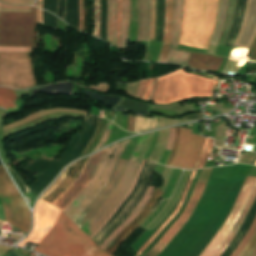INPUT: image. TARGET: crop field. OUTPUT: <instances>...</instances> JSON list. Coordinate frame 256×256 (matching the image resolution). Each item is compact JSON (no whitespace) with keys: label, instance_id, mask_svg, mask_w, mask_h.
Returning a JSON list of instances; mask_svg holds the SVG:
<instances>
[{"label":"crop field","instance_id":"crop-field-46","mask_svg":"<svg viewBox=\"0 0 256 256\" xmlns=\"http://www.w3.org/2000/svg\"><path fill=\"white\" fill-rule=\"evenodd\" d=\"M36 21L42 24V10L36 8Z\"/></svg>","mask_w":256,"mask_h":256},{"label":"crop field","instance_id":"crop-field-6","mask_svg":"<svg viewBox=\"0 0 256 256\" xmlns=\"http://www.w3.org/2000/svg\"><path fill=\"white\" fill-rule=\"evenodd\" d=\"M35 8L31 13L0 12V46L37 48L34 30Z\"/></svg>","mask_w":256,"mask_h":256},{"label":"crop field","instance_id":"crop-field-23","mask_svg":"<svg viewBox=\"0 0 256 256\" xmlns=\"http://www.w3.org/2000/svg\"><path fill=\"white\" fill-rule=\"evenodd\" d=\"M190 53L175 51V48L170 46L165 62L174 63L185 66Z\"/></svg>","mask_w":256,"mask_h":256},{"label":"crop field","instance_id":"crop-field-49","mask_svg":"<svg viewBox=\"0 0 256 256\" xmlns=\"http://www.w3.org/2000/svg\"><path fill=\"white\" fill-rule=\"evenodd\" d=\"M156 80H157V78H154L152 93H151V97H150L151 100L153 99V96H154L155 86H156Z\"/></svg>","mask_w":256,"mask_h":256},{"label":"crop field","instance_id":"crop-field-22","mask_svg":"<svg viewBox=\"0 0 256 256\" xmlns=\"http://www.w3.org/2000/svg\"><path fill=\"white\" fill-rule=\"evenodd\" d=\"M181 1L182 0H175V3H174L173 32H172L171 45H173L175 47L177 46L179 30H180Z\"/></svg>","mask_w":256,"mask_h":256},{"label":"crop field","instance_id":"crop-field-24","mask_svg":"<svg viewBox=\"0 0 256 256\" xmlns=\"http://www.w3.org/2000/svg\"><path fill=\"white\" fill-rule=\"evenodd\" d=\"M145 163V160L142 161V164L140 166V168L138 169L136 175H135V178L130 186V188L128 189V191L125 193V195L122 197V199L119 201V203L116 205V207L113 209V211L110 213V215L101 223V225L89 236L90 238H92L105 224L106 222L113 216V214L115 213V211L118 209V207L121 205V203L125 200V198L130 194V192L132 191L139 175H140V172H141V169L143 167ZM134 190V189H133ZM132 193V192H131ZM127 199V198H126Z\"/></svg>","mask_w":256,"mask_h":256},{"label":"crop field","instance_id":"crop-field-5","mask_svg":"<svg viewBox=\"0 0 256 256\" xmlns=\"http://www.w3.org/2000/svg\"><path fill=\"white\" fill-rule=\"evenodd\" d=\"M128 142L129 140L120 144L116 143L109 147L91 183L63 212L73 222L76 221L81 213L106 186L115 163ZM103 181H106V183H104L103 186H100Z\"/></svg>","mask_w":256,"mask_h":256},{"label":"crop field","instance_id":"crop-field-26","mask_svg":"<svg viewBox=\"0 0 256 256\" xmlns=\"http://www.w3.org/2000/svg\"><path fill=\"white\" fill-rule=\"evenodd\" d=\"M15 99L13 90L0 88V106L16 108L13 103Z\"/></svg>","mask_w":256,"mask_h":256},{"label":"crop field","instance_id":"crop-field-21","mask_svg":"<svg viewBox=\"0 0 256 256\" xmlns=\"http://www.w3.org/2000/svg\"><path fill=\"white\" fill-rule=\"evenodd\" d=\"M122 2L121 47L127 50V25L129 21V0Z\"/></svg>","mask_w":256,"mask_h":256},{"label":"crop field","instance_id":"crop-field-40","mask_svg":"<svg viewBox=\"0 0 256 256\" xmlns=\"http://www.w3.org/2000/svg\"><path fill=\"white\" fill-rule=\"evenodd\" d=\"M168 48H169L168 45H164L163 44L162 50H161V54L159 56V60L158 61H161V62L165 61V58H166V55H167V52H168Z\"/></svg>","mask_w":256,"mask_h":256},{"label":"crop field","instance_id":"crop-field-25","mask_svg":"<svg viewBox=\"0 0 256 256\" xmlns=\"http://www.w3.org/2000/svg\"><path fill=\"white\" fill-rule=\"evenodd\" d=\"M255 231H256V217L252 225L250 226V228L248 229V231L246 232V234L244 235V237L242 238V240L240 241V243L238 244V246L235 248V250L232 252L230 256H238L241 253V251L245 248L249 240L252 238Z\"/></svg>","mask_w":256,"mask_h":256},{"label":"crop field","instance_id":"crop-field-20","mask_svg":"<svg viewBox=\"0 0 256 256\" xmlns=\"http://www.w3.org/2000/svg\"><path fill=\"white\" fill-rule=\"evenodd\" d=\"M173 0H165V23L163 42L170 44L172 26Z\"/></svg>","mask_w":256,"mask_h":256},{"label":"crop field","instance_id":"crop-field-44","mask_svg":"<svg viewBox=\"0 0 256 256\" xmlns=\"http://www.w3.org/2000/svg\"><path fill=\"white\" fill-rule=\"evenodd\" d=\"M212 142H213V139H210L209 147H208V149H207V151H206V154H205V156H204V158H203V160H202V162H201L199 168H201V167L204 166V164H205V162H206V160H207V157H208V155H209L210 149H211V147H212Z\"/></svg>","mask_w":256,"mask_h":256},{"label":"crop field","instance_id":"crop-field-14","mask_svg":"<svg viewBox=\"0 0 256 256\" xmlns=\"http://www.w3.org/2000/svg\"><path fill=\"white\" fill-rule=\"evenodd\" d=\"M156 188L155 192L145 205L142 212L115 238V240L110 244V246L105 250L109 254L113 252L120 246V244L140 225V223L147 218L150 210L155 207L158 202L162 192ZM152 211V210H151Z\"/></svg>","mask_w":256,"mask_h":256},{"label":"crop field","instance_id":"crop-field-3","mask_svg":"<svg viewBox=\"0 0 256 256\" xmlns=\"http://www.w3.org/2000/svg\"><path fill=\"white\" fill-rule=\"evenodd\" d=\"M215 83L181 69L158 78L154 103L169 104L189 97L211 96Z\"/></svg>","mask_w":256,"mask_h":256},{"label":"crop field","instance_id":"crop-field-10","mask_svg":"<svg viewBox=\"0 0 256 256\" xmlns=\"http://www.w3.org/2000/svg\"><path fill=\"white\" fill-rule=\"evenodd\" d=\"M107 149L88 157L78 178L51 204L60 208L62 212L65 208L85 189L95 174L98 165Z\"/></svg>","mask_w":256,"mask_h":256},{"label":"crop field","instance_id":"crop-field-37","mask_svg":"<svg viewBox=\"0 0 256 256\" xmlns=\"http://www.w3.org/2000/svg\"><path fill=\"white\" fill-rule=\"evenodd\" d=\"M145 81H146V79L139 81L137 91H136V94L134 96L135 98H138V99L141 98L143 90H144V86H145Z\"/></svg>","mask_w":256,"mask_h":256},{"label":"crop field","instance_id":"crop-field-50","mask_svg":"<svg viewBox=\"0 0 256 256\" xmlns=\"http://www.w3.org/2000/svg\"><path fill=\"white\" fill-rule=\"evenodd\" d=\"M0 11H22V12H30V10H19V9H0Z\"/></svg>","mask_w":256,"mask_h":256},{"label":"crop field","instance_id":"crop-field-4","mask_svg":"<svg viewBox=\"0 0 256 256\" xmlns=\"http://www.w3.org/2000/svg\"><path fill=\"white\" fill-rule=\"evenodd\" d=\"M256 198V177H247L225 224L200 256H220L236 235Z\"/></svg>","mask_w":256,"mask_h":256},{"label":"crop field","instance_id":"crop-field-34","mask_svg":"<svg viewBox=\"0 0 256 256\" xmlns=\"http://www.w3.org/2000/svg\"><path fill=\"white\" fill-rule=\"evenodd\" d=\"M256 244V233L253 236V238L251 239V241L248 243V245L246 246V248L244 249V251L241 253L240 256H248L249 253L252 251V249L254 248Z\"/></svg>","mask_w":256,"mask_h":256},{"label":"crop field","instance_id":"crop-field-47","mask_svg":"<svg viewBox=\"0 0 256 256\" xmlns=\"http://www.w3.org/2000/svg\"><path fill=\"white\" fill-rule=\"evenodd\" d=\"M79 11H80V28L82 30V7H81V0H79Z\"/></svg>","mask_w":256,"mask_h":256},{"label":"crop field","instance_id":"crop-field-52","mask_svg":"<svg viewBox=\"0 0 256 256\" xmlns=\"http://www.w3.org/2000/svg\"><path fill=\"white\" fill-rule=\"evenodd\" d=\"M249 256H256V246H255V248L253 249V251L250 253Z\"/></svg>","mask_w":256,"mask_h":256},{"label":"crop field","instance_id":"crop-field-35","mask_svg":"<svg viewBox=\"0 0 256 256\" xmlns=\"http://www.w3.org/2000/svg\"><path fill=\"white\" fill-rule=\"evenodd\" d=\"M246 56L251 57L250 60L256 61V37L253 40Z\"/></svg>","mask_w":256,"mask_h":256},{"label":"crop field","instance_id":"crop-field-30","mask_svg":"<svg viewBox=\"0 0 256 256\" xmlns=\"http://www.w3.org/2000/svg\"><path fill=\"white\" fill-rule=\"evenodd\" d=\"M0 52H31V47H0Z\"/></svg>","mask_w":256,"mask_h":256},{"label":"crop field","instance_id":"crop-field-18","mask_svg":"<svg viewBox=\"0 0 256 256\" xmlns=\"http://www.w3.org/2000/svg\"><path fill=\"white\" fill-rule=\"evenodd\" d=\"M117 0H108L107 9V41L116 46V33H117Z\"/></svg>","mask_w":256,"mask_h":256},{"label":"crop field","instance_id":"crop-field-42","mask_svg":"<svg viewBox=\"0 0 256 256\" xmlns=\"http://www.w3.org/2000/svg\"><path fill=\"white\" fill-rule=\"evenodd\" d=\"M203 118L202 112L184 116L183 119L197 120Z\"/></svg>","mask_w":256,"mask_h":256},{"label":"crop field","instance_id":"crop-field-36","mask_svg":"<svg viewBox=\"0 0 256 256\" xmlns=\"http://www.w3.org/2000/svg\"><path fill=\"white\" fill-rule=\"evenodd\" d=\"M175 127L169 129V139L165 149L171 150L174 142Z\"/></svg>","mask_w":256,"mask_h":256},{"label":"crop field","instance_id":"crop-field-28","mask_svg":"<svg viewBox=\"0 0 256 256\" xmlns=\"http://www.w3.org/2000/svg\"><path fill=\"white\" fill-rule=\"evenodd\" d=\"M99 18H100V10H99V0H95V20H94V35L99 37Z\"/></svg>","mask_w":256,"mask_h":256},{"label":"crop field","instance_id":"crop-field-45","mask_svg":"<svg viewBox=\"0 0 256 256\" xmlns=\"http://www.w3.org/2000/svg\"><path fill=\"white\" fill-rule=\"evenodd\" d=\"M0 8H20V9H30V6H8L1 3Z\"/></svg>","mask_w":256,"mask_h":256},{"label":"crop field","instance_id":"crop-field-16","mask_svg":"<svg viewBox=\"0 0 256 256\" xmlns=\"http://www.w3.org/2000/svg\"><path fill=\"white\" fill-rule=\"evenodd\" d=\"M155 187L148 186L141 200L131 214L100 244L101 249H106L114 238L141 212L144 205L152 195Z\"/></svg>","mask_w":256,"mask_h":256},{"label":"crop field","instance_id":"crop-field-8","mask_svg":"<svg viewBox=\"0 0 256 256\" xmlns=\"http://www.w3.org/2000/svg\"><path fill=\"white\" fill-rule=\"evenodd\" d=\"M0 85L15 89L35 86L30 53H0Z\"/></svg>","mask_w":256,"mask_h":256},{"label":"crop field","instance_id":"crop-field-32","mask_svg":"<svg viewBox=\"0 0 256 256\" xmlns=\"http://www.w3.org/2000/svg\"><path fill=\"white\" fill-rule=\"evenodd\" d=\"M179 137H180V127H176V136H175V142H174V146H173V150H172V153L169 157V160L167 162V165H171V162H172V159L174 157V154H175V151L178 147V143H179Z\"/></svg>","mask_w":256,"mask_h":256},{"label":"crop field","instance_id":"crop-field-33","mask_svg":"<svg viewBox=\"0 0 256 256\" xmlns=\"http://www.w3.org/2000/svg\"><path fill=\"white\" fill-rule=\"evenodd\" d=\"M152 82H153V79H147L145 91H144L143 96L141 98L142 100H146V101L149 100L150 92H151V88H152Z\"/></svg>","mask_w":256,"mask_h":256},{"label":"crop field","instance_id":"crop-field-12","mask_svg":"<svg viewBox=\"0 0 256 256\" xmlns=\"http://www.w3.org/2000/svg\"><path fill=\"white\" fill-rule=\"evenodd\" d=\"M60 210L53 205L38 200L34 210V227L31 234L25 238L19 245L22 246L26 242L39 244L48 231L55 224Z\"/></svg>","mask_w":256,"mask_h":256},{"label":"crop field","instance_id":"crop-field-39","mask_svg":"<svg viewBox=\"0 0 256 256\" xmlns=\"http://www.w3.org/2000/svg\"><path fill=\"white\" fill-rule=\"evenodd\" d=\"M10 4H31V0H0Z\"/></svg>","mask_w":256,"mask_h":256},{"label":"crop field","instance_id":"crop-field-27","mask_svg":"<svg viewBox=\"0 0 256 256\" xmlns=\"http://www.w3.org/2000/svg\"><path fill=\"white\" fill-rule=\"evenodd\" d=\"M75 164V163H74ZM71 165L70 167L74 166ZM69 167V168H70ZM69 168H67L62 175L57 179V181L42 195L41 199L45 198L47 195H49L50 193H52L54 190L57 189V187L59 186V184L63 181V179L67 176V173L69 172Z\"/></svg>","mask_w":256,"mask_h":256},{"label":"crop field","instance_id":"crop-field-43","mask_svg":"<svg viewBox=\"0 0 256 256\" xmlns=\"http://www.w3.org/2000/svg\"><path fill=\"white\" fill-rule=\"evenodd\" d=\"M100 248L95 244L83 256H93Z\"/></svg>","mask_w":256,"mask_h":256},{"label":"crop field","instance_id":"crop-field-2","mask_svg":"<svg viewBox=\"0 0 256 256\" xmlns=\"http://www.w3.org/2000/svg\"><path fill=\"white\" fill-rule=\"evenodd\" d=\"M93 244L95 243L61 212L54 227L34 251L46 256H82Z\"/></svg>","mask_w":256,"mask_h":256},{"label":"crop field","instance_id":"crop-field-51","mask_svg":"<svg viewBox=\"0 0 256 256\" xmlns=\"http://www.w3.org/2000/svg\"><path fill=\"white\" fill-rule=\"evenodd\" d=\"M36 6L42 8V0H37Z\"/></svg>","mask_w":256,"mask_h":256},{"label":"crop field","instance_id":"crop-field-13","mask_svg":"<svg viewBox=\"0 0 256 256\" xmlns=\"http://www.w3.org/2000/svg\"><path fill=\"white\" fill-rule=\"evenodd\" d=\"M206 183L198 182L195 190L183 212V214L174 222V224L168 229L161 240L145 255V256H157L162 249L170 242L175 236L178 230L182 227L185 221L193 211Z\"/></svg>","mask_w":256,"mask_h":256},{"label":"crop field","instance_id":"crop-field-31","mask_svg":"<svg viewBox=\"0 0 256 256\" xmlns=\"http://www.w3.org/2000/svg\"><path fill=\"white\" fill-rule=\"evenodd\" d=\"M155 20H156V0H152V21H151V35H150V39H154Z\"/></svg>","mask_w":256,"mask_h":256},{"label":"crop field","instance_id":"crop-field-41","mask_svg":"<svg viewBox=\"0 0 256 256\" xmlns=\"http://www.w3.org/2000/svg\"><path fill=\"white\" fill-rule=\"evenodd\" d=\"M208 143H209V139L206 138L204 147H203V149H202V151L200 153V156L198 158V161H197L196 166H195L194 169H196L198 167V165H199V163H200V161H201V159H202V157H203V155H204V153H205V151H206V149L208 147Z\"/></svg>","mask_w":256,"mask_h":256},{"label":"crop field","instance_id":"crop-field-9","mask_svg":"<svg viewBox=\"0 0 256 256\" xmlns=\"http://www.w3.org/2000/svg\"><path fill=\"white\" fill-rule=\"evenodd\" d=\"M0 200L5 211V222L27 232L30 227V211L2 166H0Z\"/></svg>","mask_w":256,"mask_h":256},{"label":"crop field","instance_id":"crop-field-19","mask_svg":"<svg viewBox=\"0 0 256 256\" xmlns=\"http://www.w3.org/2000/svg\"><path fill=\"white\" fill-rule=\"evenodd\" d=\"M196 171L197 170L193 171V173H192V175H191V177H190V179H189V181L186 185V188H185V190H184V192H183V194L180 198V201H179L177 207L175 208V210L173 211V213L161 224V226L156 230V232L149 238V240L135 254V256H139L148 247V245L155 239V237L163 230V228L170 222V220L177 214V212H178V210H179V208H180V206H181V204H182V202H183V200L186 196V193H187V191H188V189H189V187H190V185L193 181V178L196 174Z\"/></svg>","mask_w":256,"mask_h":256},{"label":"crop field","instance_id":"crop-field-11","mask_svg":"<svg viewBox=\"0 0 256 256\" xmlns=\"http://www.w3.org/2000/svg\"><path fill=\"white\" fill-rule=\"evenodd\" d=\"M203 141V137L191 134L189 129L181 128L179 147L171 166L193 169L203 146Z\"/></svg>","mask_w":256,"mask_h":256},{"label":"crop field","instance_id":"crop-field-1","mask_svg":"<svg viewBox=\"0 0 256 256\" xmlns=\"http://www.w3.org/2000/svg\"><path fill=\"white\" fill-rule=\"evenodd\" d=\"M218 0H183L178 44L207 49L216 22Z\"/></svg>","mask_w":256,"mask_h":256},{"label":"crop field","instance_id":"crop-field-38","mask_svg":"<svg viewBox=\"0 0 256 256\" xmlns=\"http://www.w3.org/2000/svg\"><path fill=\"white\" fill-rule=\"evenodd\" d=\"M118 4H119V18H118L117 46L120 47V20H121V3H120V0H118Z\"/></svg>","mask_w":256,"mask_h":256},{"label":"crop field","instance_id":"crop-field-15","mask_svg":"<svg viewBox=\"0 0 256 256\" xmlns=\"http://www.w3.org/2000/svg\"><path fill=\"white\" fill-rule=\"evenodd\" d=\"M128 160L120 159L119 164L105 189L97 196V198L90 204V206L83 212L80 218L75 223L80 229L87 222L90 216L99 208V206L103 203L106 197L113 190L115 185L117 184L121 173L126 165Z\"/></svg>","mask_w":256,"mask_h":256},{"label":"crop field","instance_id":"crop-field-29","mask_svg":"<svg viewBox=\"0 0 256 256\" xmlns=\"http://www.w3.org/2000/svg\"><path fill=\"white\" fill-rule=\"evenodd\" d=\"M111 125H112V122L107 120L105 131H104L99 143L97 144V146L95 147V149L93 151L101 148V146L103 145L104 141L106 140V138L108 137V135L110 133Z\"/></svg>","mask_w":256,"mask_h":256},{"label":"crop field","instance_id":"crop-field-7","mask_svg":"<svg viewBox=\"0 0 256 256\" xmlns=\"http://www.w3.org/2000/svg\"><path fill=\"white\" fill-rule=\"evenodd\" d=\"M148 135L143 134L136 145L125 169L124 172L114 188V190L111 192V194L107 197V199L104 201V203L100 206V208L95 212V214L89 219V221L84 225V227L81 229L83 230L88 236L99 226V224L109 215V213L112 211V209L115 207V205L118 203V201L121 199L123 194L128 189L138 167L140 164L135 163L138 156L142 153L147 140Z\"/></svg>","mask_w":256,"mask_h":256},{"label":"crop field","instance_id":"crop-field-53","mask_svg":"<svg viewBox=\"0 0 256 256\" xmlns=\"http://www.w3.org/2000/svg\"><path fill=\"white\" fill-rule=\"evenodd\" d=\"M2 224H3V221H0V228H1Z\"/></svg>","mask_w":256,"mask_h":256},{"label":"crop field","instance_id":"crop-field-17","mask_svg":"<svg viewBox=\"0 0 256 256\" xmlns=\"http://www.w3.org/2000/svg\"><path fill=\"white\" fill-rule=\"evenodd\" d=\"M223 59L211 55L191 53L186 66L216 71Z\"/></svg>","mask_w":256,"mask_h":256},{"label":"crop field","instance_id":"crop-field-48","mask_svg":"<svg viewBox=\"0 0 256 256\" xmlns=\"http://www.w3.org/2000/svg\"><path fill=\"white\" fill-rule=\"evenodd\" d=\"M94 256H111L105 252H103V250H99Z\"/></svg>","mask_w":256,"mask_h":256}]
</instances>
